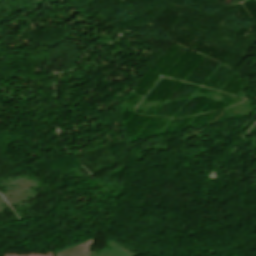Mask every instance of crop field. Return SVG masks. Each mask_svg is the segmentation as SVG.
<instances>
[{
	"label": "crop field",
	"mask_w": 256,
	"mask_h": 256,
	"mask_svg": "<svg viewBox=\"0 0 256 256\" xmlns=\"http://www.w3.org/2000/svg\"><path fill=\"white\" fill-rule=\"evenodd\" d=\"M111 249H107L103 252L96 253L90 251L88 256H135L132 253L128 252L125 248L121 247L114 240L110 241Z\"/></svg>",
	"instance_id": "2"
},
{
	"label": "crop field",
	"mask_w": 256,
	"mask_h": 256,
	"mask_svg": "<svg viewBox=\"0 0 256 256\" xmlns=\"http://www.w3.org/2000/svg\"><path fill=\"white\" fill-rule=\"evenodd\" d=\"M93 240L94 238L84 242L79 246L71 247L62 252L56 253L55 256H87L92 246Z\"/></svg>",
	"instance_id": "1"
}]
</instances>
